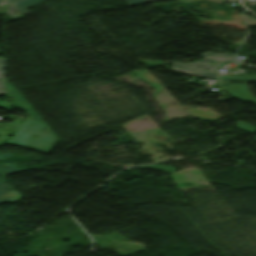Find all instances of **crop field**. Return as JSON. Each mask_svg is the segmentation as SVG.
<instances>
[{"label": "crop field", "instance_id": "5a996713", "mask_svg": "<svg viewBox=\"0 0 256 256\" xmlns=\"http://www.w3.org/2000/svg\"><path fill=\"white\" fill-rule=\"evenodd\" d=\"M21 125H22L21 123L14 122V123H11V124H8V125L0 124V128L6 127V128H10V129L15 128L16 130H18ZM2 131H4V130H2Z\"/></svg>", "mask_w": 256, "mask_h": 256}, {"label": "crop field", "instance_id": "22f410ed", "mask_svg": "<svg viewBox=\"0 0 256 256\" xmlns=\"http://www.w3.org/2000/svg\"><path fill=\"white\" fill-rule=\"evenodd\" d=\"M6 137H7L6 133L0 131V146L3 145L2 141H4V138Z\"/></svg>", "mask_w": 256, "mask_h": 256}, {"label": "crop field", "instance_id": "5142ce71", "mask_svg": "<svg viewBox=\"0 0 256 256\" xmlns=\"http://www.w3.org/2000/svg\"><path fill=\"white\" fill-rule=\"evenodd\" d=\"M0 5H4V2H3V0H0Z\"/></svg>", "mask_w": 256, "mask_h": 256}, {"label": "crop field", "instance_id": "3316defc", "mask_svg": "<svg viewBox=\"0 0 256 256\" xmlns=\"http://www.w3.org/2000/svg\"><path fill=\"white\" fill-rule=\"evenodd\" d=\"M11 105H13V103H7L6 101H0V107L7 109V110H11L13 107H10Z\"/></svg>", "mask_w": 256, "mask_h": 256}, {"label": "crop field", "instance_id": "f4fd0767", "mask_svg": "<svg viewBox=\"0 0 256 256\" xmlns=\"http://www.w3.org/2000/svg\"><path fill=\"white\" fill-rule=\"evenodd\" d=\"M5 93L4 59H0V94Z\"/></svg>", "mask_w": 256, "mask_h": 256}, {"label": "crop field", "instance_id": "d1516ede", "mask_svg": "<svg viewBox=\"0 0 256 256\" xmlns=\"http://www.w3.org/2000/svg\"><path fill=\"white\" fill-rule=\"evenodd\" d=\"M140 62H144V63H146L147 65L166 64V63L158 62V61H140Z\"/></svg>", "mask_w": 256, "mask_h": 256}, {"label": "crop field", "instance_id": "28ad6ade", "mask_svg": "<svg viewBox=\"0 0 256 256\" xmlns=\"http://www.w3.org/2000/svg\"><path fill=\"white\" fill-rule=\"evenodd\" d=\"M127 3H129L131 6L138 5L140 3L150 1V0H125Z\"/></svg>", "mask_w": 256, "mask_h": 256}, {"label": "crop field", "instance_id": "e52e79f7", "mask_svg": "<svg viewBox=\"0 0 256 256\" xmlns=\"http://www.w3.org/2000/svg\"><path fill=\"white\" fill-rule=\"evenodd\" d=\"M236 127L239 129L245 130L247 132H251V133L256 132V128H254L246 123H243V122H238Z\"/></svg>", "mask_w": 256, "mask_h": 256}, {"label": "crop field", "instance_id": "8a807250", "mask_svg": "<svg viewBox=\"0 0 256 256\" xmlns=\"http://www.w3.org/2000/svg\"><path fill=\"white\" fill-rule=\"evenodd\" d=\"M6 91L18 102L19 106L25 110L30 117L24 122L21 128L16 132L8 144L26 147L43 127H46L41 134L27 147L34 150L49 153L60 139L50 130L45 122L35 113L32 107L24 100V98L14 89V87L6 81Z\"/></svg>", "mask_w": 256, "mask_h": 256}, {"label": "crop field", "instance_id": "412701ff", "mask_svg": "<svg viewBox=\"0 0 256 256\" xmlns=\"http://www.w3.org/2000/svg\"><path fill=\"white\" fill-rule=\"evenodd\" d=\"M44 0H19L15 3H13L16 8L21 12L22 15L28 14L29 12L26 10L27 8L40 3Z\"/></svg>", "mask_w": 256, "mask_h": 256}, {"label": "crop field", "instance_id": "d8731c3e", "mask_svg": "<svg viewBox=\"0 0 256 256\" xmlns=\"http://www.w3.org/2000/svg\"><path fill=\"white\" fill-rule=\"evenodd\" d=\"M143 168H156V169H160V170H165V171H170L173 172L175 171V169L171 166H148V167H140V169Z\"/></svg>", "mask_w": 256, "mask_h": 256}, {"label": "crop field", "instance_id": "34b2d1b8", "mask_svg": "<svg viewBox=\"0 0 256 256\" xmlns=\"http://www.w3.org/2000/svg\"><path fill=\"white\" fill-rule=\"evenodd\" d=\"M205 57L200 62L208 63L210 61L230 63L235 59V55L231 54H218V53H204Z\"/></svg>", "mask_w": 256, "mask_h": 256}, {"label": "crop field", "instance_id": "cbeb9de0", "mask_svg": "<svg viewBox=\"0 0 256 256\" xmlns=\"http://www.w3.org/2000/svg\"><path fill=\"white\" fill-rule=\"evenodd\" d=\"M5 1H6V5H7V4H9V3H11V2H13L15 0H5Z\"/></svg>", "mask_w": 256, "mask_h": 256}, {"label": "crop field", "instance_id": "dd49c442", "mask_svg": "<svg viewBox=\"0 0 256 256\" xmlns=\"http://www.w3.org/2000/svg\"><path fill=\"white\" fill-rule=\"evenodd\" d=\"M8 10V14L11 17L12 20H16V19H22L24 18L20 12L15 8L14 5H10L9 7H7Z\"/></svg>", "mask_w": 256, "mask_h": 256}, {"label": "crop field", "instance_id": "ac0d7876", "mask_svg": "<svg viewBox=\"0 0 256 256\" xmlns=\"http://www.w3.org/2000/svg\"><path fill=\"white\" fill-rule=\"evenodd\" d=\"M171 63H173L172 69L180 72L204 76V77H212V78H217L218 76V72H214L215 69L219 67L216 65L203 64L199 62H195V63L171 62ZM199 69H210V71L209 72L199 71Z\"/></svg>", "mask_w": 256, "mask_h": 256}]
</instances>
